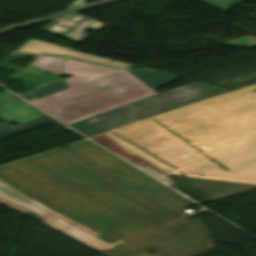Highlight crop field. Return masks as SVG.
Returning a JSON list of instances; mask_svg holds the SVG:
<instances>
[{
  "label": "crop field",
  "mask_w": 256,
  "mask_h": 256,
  "mask_svg": "<svg viewBox=\"0 0 256 256\" xmlns=\"http://www.w3.org/2000/svg\"><path fill=\"white\" fill-rule=\"evenodd\" d=\"M0 178L44 206L116 241L109 231L141 216L153 223L174 213L69 150L0 169Z\"/></svg>",
  "instance_id": "obj_1"
},
{
  "label": "crop field",
  "mask_w": 256,
  "mask_h": 256,
  "mask_svg": "<svg viewBox=\"0 0 256 256\" xmlns=\"http://www.w3.org/2000/svg\"><path fill=\"white\" fill-rule=\"evenodd\" d=\"M97 142L175 188L169 174L256 184V147Z\"/></svg>",
  "instance_id": "obj_2"
},
{
  "label": "crop field",
  "mask_w": 256,
  "mask_h": 256,
  "mask_svg": "<svg viewBox=\"0 0 256 256\" xmlns=\"http://www.w3.org/2000/svg\"><path fill=\"white\" fill-rule=\"evenodd\" d=\"M90 145L131 171L165 190L166 192L150 197L164 207L178 212L179 217H170L163 223L154 225L140 217L123 222L122 227L110 233L123 241L100 252L106 256H194L214 247L211 246L212 239L199 221L189 219L181 214L184 202L180 197L169 191L166 187L85 140L77 142L76 145L68 147L71 151L84 156L75 148L82 145ZM91 147V148H92ZM150 248L148 251H143ZM156 250L152 255L149 253Z\"/></svg>",
  "instance_id": "obj_3"
},
{
  "label": "crop field",
  "mask_w": 256,
  "mask_h": 256,
  "mask_svg": "<svg viewBox=\"0 0 256 256\" xmlns=\"http://www.w3.org/2000/svg\"><path fill=\"white\" fill-rule=\"evenodd\" d=\"M61 74H76L88 79L67 80L72 88L31 103L68 125L156 94L126 70L66 59Z\"/></svg>",
  "instance_id": "obj_4"
},
{
  "label": "crop field",
  "mask_w": 256,
  "mask_h": 256,
  "mask_svg": "<svg viewBox=\"0 0 256 256\" xmlns=\"http://www.w3.org/2000/svg\"><path fill=\"white\" fill-rule=\"evenodd\" d=\"M227 91L230 90L195 82L103 113L101 118L92 117L71 125L92 136Z\"/></svg>",
  "instance_id": "obj_5"
},
{
  "label": "crop field",
  "mask_w": 256,
  "mask_h": 256,
  "mask_svg": "<svg viewBox=\"0 0 256 256\" xmlns=\"http://www.w3.org/2000/svg\"><path fill=\"white\" fill-rule=\"evenodd\" d=\"M0 201L21 213L26 211L8 203V201L41 218L49 216L40 222L97 251H103L109 247V245L90 235L94 231L51 211L1 179Z\"/></svg>",
  "instance_id": "obj_6"
},
{
  "label": "crop field",
  "mask_w": 256,
  "mask_h": 256,
  "mask_svg": "<svg viewBox=\"0 0 256 256\" xmlns=\"http://www.w3.org/2000/svg\"><path fill=\"white\" fill-rule=\"evenodd\" d=\"M11 96L20 100L7 91L0 94V120L4 122L12 120L19 125L14 127L0 125V138L54 120L22 100L19 103L5 100Z\"/></svg>",
  "instance_id": "obj_7"
},
{
  "label": "crop field",
  "mask_w": 256,
  "mask_h": 256,
  "mask_svg": "<svg viewBox=\"0 0 256 256\" xmlns=\"http://www.w3.org/2000/svg\"><path fill=\"white\" fill-rule=\"evenodd\" d=\"M76 149L85 154V156L82 158H84L86 161L148 197L164 192L160 188L156 187L88 145L78 147Z\"/></svg>",
  "instance_id": "obj_8"
},
{
  "label": "crop field",
  "mask_w": 256,
  "mask_h": 256,
  "mask_svg": "<svg viewBox=\"0 0 256 256\" xmlns=\"http://www.w3.org/2000/svg\"><path fill=\"white\" fill-rule=\"evenodd\" d=\"M16 51L68 57V58L83 60L87 62L107 65V66L115 67L118 69L131 68L132 66L130 64H126L118 61L110 62V60L107 58L85 54L82 52L74 51L69 48L61 47L58 45H54L51 43L43 42V41L32 39V38L27 40Z\"/></svg>",
  "instance_id": "obj_9"
},
{
  "label": "crop field",
  "mask_w": 256,
  "mask_h": 256,
  "mask_svg": "<svg viewBox=\"0 0 256 256\" xmlns=\"http://www.w3.org/2000/svg\"><path fill=\"white\" fill-rule=\"evenodd\" d=\"M89 19L73 14L52 21L43 30L73 42H81L90 36L85 34L87 29L97 31L105 26Z\"/></svg>",
  "instance_id": "obj_10"
},
{
  "label": "crop field",
  "mask_w": 256,
  "mask_h": 256,
  "mask_svg": "<svg viewBox=\"0 0 256 256\" xmlns=\"http://www.w3.org/2000/svg\"><path fill=\"white\" fill-rule=\"evenodd\" d=\"M12 54L39 58L37 61H35L23 72V73H29V74H40L44 72L60 74L64 60H65L62 58L41 56V55H31V54H21V53H12ZM39 68H41L42 71ZM33 69H38V70L36 71Z\"/></svg>",
  "instance_id": "obj_11"
},
{
  "label": "crop field",
  "mask_w": 256,
  "mask_h": 256,
  "mask_svg": "<svg viewBox=\"0 0 256 256\" xmlns=\"http://www.w3.org/2000/svg\"><path fill=\"white\" fill-rule=\"evenodd\" d=\"M137 71H140L141 73H138ZM133 76L141 80L143 83L148 85L149 87H153L152 89H155L157 87H160L174 79H177L179 77L157 72V71H149V70H133L130 69L128 71ZM150 87V88H151Z\"/></svg>",
  "instance_id": "obj_12"
},
{
  "label": "crop field",
  "mask_w": 256,
  "mask_h": 256,
  "mask_svg": "<svg viewBox=\"0 0 256 256\" xmlns=\"http://www.w3.org/2000/svg\"><path fill=\"white\" fill-rule=\"evenodd\" d=\"M33 88L35 89V92L31 94H20V93H16V94L24 98L25 100L31 102L35 100L37 96L42 97L44 95L68 88V86L65 85L62 81H52L42 85L35 86Z\"/></svg>",
  "instance_id": "obj_13"
},
{
  "label": "crop field",
  "mask_w": 256,
  "mask_h": 256,
  "mask_svg": "<svg viewBox=\"0 0 256 256\" xmlns=\"http://www.w3.org/2000/svg\"><path fill=\"white\" fill-rule=\"evenodd\" d=\"M204 3L210 4L212 6L218 7L220 9H227L229 6L234 4L235 2H242L244 0H199Z\"/></svg>",
  "instance_id": "obj_14"
},
{
  "label": "crop field",
  "mask_w": 256,
  "mask_h": 256,
  "mask_svg": "<svg viewBox=\"0 0 256 256\" xmlns=\"http://www.w3.org/2000/svg\"><path fill=\"white\" fill-rule=\"evenodd\" d=\"M89 138H91L93 140L125 141V140L119 138L118 136L108 132V131L100 133V134L92 136V137H89Z\"/></svg>",
  "instance_id": "obj_15"
},
{
  "label": "crop field",
  "mask_w": 256,
  "mask_h": 256,
  "mask_svg": "<svg viewBox=\"0 0 256 256\" xmlns=\"http://www.w3.org/2000/svg\"><path fill=\"white\" fill-rule=\"evenodd\" d=\"M89 0H76L73 4H71L67 9H72L80 6H84Z\"/></svg>",
  "instance_id": "obj_16"
}]
</instances>
